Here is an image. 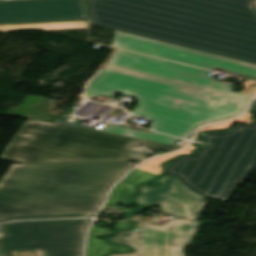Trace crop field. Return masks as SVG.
I'll return each instance as SVG.
<instances>
[{"label": "crop field", "instance_id": "14", "mask_svg": "<svg viewBox=\"0 0 256 256\" xmlns=\"http://www.w3.org/2000/svg\"><path fill=\"white\" fill-rule=\"evenodd\" d=\"M138 227L141 228L140 231L121 232L115 238H108L111 242L125 244L134 248L135 253L112 254L110 256H141L143 223L139 222Z\"/></svg>", "mask_w": 256, "mask_h": 256}, {"label": "crop field", "instance_id": "13", "mask_svg": "<svg viewBox=\"0 0 256 256\" xmlns=\"http://www.w3.org/2000/svg\"><path fill=\"white\" fill-rule=\"evenodd\" d=\"M102 131H107L111 133H116V134H121V135H126L130 137H135V138H140V139H145V140H150V141H155V142H160V143H165V144H173L177 142L178 140L184 141L182 139L158 134L155 132H152L150 134L145 133V132H140V131H135L123 127H118L114 125H107L105 126L104 129H101Z\"/></svg>", "mask_w": 256, "mask_h": 256}, {"label": "crop field", "instance_id": "9", "mask_svg": "<svg viewBox=\"0 0 256 256\" xmlns=\"http://www.w3.org/2000/svg\"><path fill=\"white\" fill-rule=\"evenodd\" d=\"M205 203L175 177L160 206L164 213L198 220Z\"/></svg>", "mask_w": 256, "mask_h": 256}, {"label": "crop field", "instance_id": "15", "mask_svg": "<svg viewBox=\"0 0 256 256\" xmlns=\"http://www.w3.org/2000/svg\"><path fill=\"white\" fill-rule=\"evenodd\" d=\"M87 21L0 25V31L14 28H42L46 30L86 28Z\"/></svg>", "mask_w": 256, "mask_h": 256}, {"label": "crop field", "instance_id": "10", "mask_svg": "<svg viewBox=\"0 0 256 256\" xmlns=\"http://www.w3.org/2000/svg\"><path fill=\"white\" fill-rule=\"evenodd\" d=\"M154 175H156V174L155 173H149V172L141 171V170H137V169L133 170L126 178H124L114 188V190L112 191V193L110 195V198H109V200L106 203L104 208H106V207H117V208L124 209L126 213L131 211V209L118 207L115 204L119 200H126L127 199V195L132 193V192H134L133 186L137 182L147 181L148 179H150Z\"/></svg>", "mask_w": 256, "mask_h": 256}, {"label": "crop field", "instance_id": "5", "mask_svg": "<svg viewBox=\"0 0 256 256\" xmlns=\"http://www.w3.org/2000/svg\"><path fill=\"white\" fill-rule=\"evenodd\" d=\"M202 138L206 147L201 156L177 157L166 167V173L179 177L190 190L205 198L227 201L235 186L256 167V124L236 125L226 135Z\"/></svg>", "mask_w": 256, "mask_h": 256}, {"label": "crop field", "instance_id": "18", "mask_svg": "<svg viewBox=\"0 0 256 256\" xmlns=\"http://www.w3.org/2000/svg\"><path fill=\"white\" fill-rule=\"evenodd\" d=\"M12 253L17 256H41V250L31 248H22Z\"/></svg>", "mask_w": 256, "mask_h": 256}, {"label": "crop field", "instance_id": "17", "mask_svg": "<svg viewBox=\"0 0 256 256\" xmlns=\"http://www.w3.org/2000/svg\"><path fill=\"white\" fill-rule=\"evenodd\" d=\"M234 121L249 123V115L247 113H245L244 116H242ZM232 122L233 121L226 122V123H220V124H216V125H209L202 130H214V129H219V128H226V127H229Z\"/></svg>", "mask_w": 256, "mask_h": 256}, {"label": "crop field", "instance_id": "4", "mask_svg": "<svg viewBox=\"0 0 256 256\" xmlns=\"http://www.w3.org/2000/svg\"><path fill=\"white\" fill-rule=\"evenodd\" d=\"M137 144L166 152L179 149L97 130L27 120L0 158L21 163L142 160L129 149Z\"/></svg>", "mask_w": 256, "mask_h": 256}, {"label": "crop field", "instance_id": "19", "mask_svg": "<svg viewBox=\"0 0 256 256\" xmlns=\"http://www.w3.org/2000/svg\"><path fill=\"white\" fill-rule=\"evenodd\" d=\"M0 1H10V0H0Z\"/></svg>", "mask_w": 256, "mask_h": 256}, {"label": "crop field", "instance_id": "8", "mask_svg": "<svg viewBox=\"0 0 256 256\" xmlns=\"http://www.w3.org/2000/svg\"><path fill=\"white\" fill-rule=\"evenodd\" d=\"M199 222L172 220L164 226L144 224L142 256H183L181 250Z\"/></svg>", "mask_w": 256, "mask_h": 256}, {"label": "crop field", "instance_id": "12", "mask_svg": "<svg viewBox=\"0 0 256 256\" xmlns=\"http://www.w3.org/2000/svg\"><path fill=\"white\" fill-rule=\"evenodd\" d=\"M173 178L174 177L168 175L162 177L159 180V182L163 183L162 187H147L145 185H140V192L135 196L137 201L136 204L159 206Z\"/></svg>", "mask_w": 256, "mask_h": 256}, {"label": "crop field", "instance_id": "16", "mask_svg": "<svg viewBox=\"0 0 256 256\" xmlns=\"http://www.w3.org/2000/svg\"><path fill=\"white\" fill-rule=\"evenodd\" d=\"M193 149L192 146L188 147L185 150L179 151L177 153L171 154V155H167L164 157H160V158H156V159H152L144 164H142L141 166L137 167V169H141V170H145V171H150V172H156L159 173L160 171V167L158 166L161 162L168 160V158L170 156H173L175 154H179V153H190L189 150Z\"/></svg>", "mask_w": 256, "mask_h": 256}, {"label": "crop field", "instance_id": "7", "mask_svg": "<svg viewBox=\"0 0 256 256\" xmlns=\"http://www.w3.org/2000/svg\"><path fill=\"white\" fill-rule=\"evenodd\" d=\"M87 20L83 0L0 2V24Z\"/></svg>", "mask_w": 256, "mask_h": 256}, {"label": "crop field", "instance_id": "3", "mask_svg": "<svg viewBox=\"0 0 256 256\" xmlns=\"http://www.w3.org/2000/svg\"><path fill=\"white\" fill-rule=\"evenodd\" d=\"M135 164H14L0 181V222L92 217L110 186Z\"/></svg>", "mask_w": 256, "mask_h": 256}, {"label": "crop field", "instance_id": "6", "mask_svg": "<svg viewBox=\"0 0 256 256\" xmlns=\"http://www.w3.org/2000/svg\"><path fill=\"white\" fill-rule=\"evenodd\" d=\"M91 219L26 221L0 225L1 256L31 247L42 256H81L86 228Z\"/></svg>", "mask_w": 256, "mask_h": 256}, {"label": "crop field", "instance_id": "11", "mask_svg": "<svg viewBox=\"0 0 256 256\" xmlns=\"http://www.w3.org/2000/svg\"><path fill=\"white\" fill-rule=\"evenodd\" d=\"M129 226L130 225L127 221L117 223L112 229H101V228L92 226L89 237H88L86 256H102L103 254L108 252L110 249H115L117 251L128 250V248L124 246L109 245L97 239L95 236L102 237L104 233L112 234L113 229L123 230L128 228Z\"/></svg>", "mask_w": 256, "mask_h": 256}, {"label": "crop field", "instance_id": "2", "mask_svg": "<svg viewBox=\"0 0 256 256\" xmlns=\"http://www.w3.org/2000/svg\"><path fill=\"white\" fill-rule=\"evenodd\" d=\"M208 73L116 49L86 95H131L138 103L130 113L153 120L161 133L190 139L200 125L240 114L256 95L255 82L235 92Z\"/></svg>", "mask_w": 256, "mask_h": 256}, {"label": "crop field", "instance_id": "1", "mask_svg": "<svg viewBox=\"0 0 256 256\" xmlns=\"http://www.w3.org/2000/svg\"><path fill=\"white\" fill-rule=\"evenodd\" d=\"M91 24L256 64L255 0H84ZM113 47L256 77V66L116 32Z\"/></svg>", "mask_w": 256, "mask_h": 256}]
</instances>
